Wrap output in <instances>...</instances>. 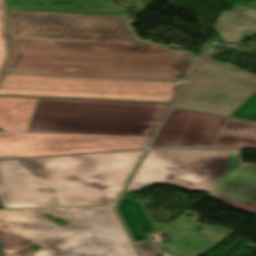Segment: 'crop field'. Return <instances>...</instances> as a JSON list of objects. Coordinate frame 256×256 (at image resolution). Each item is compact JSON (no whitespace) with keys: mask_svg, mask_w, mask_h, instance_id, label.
Listing matches in <instances>:
<instances>
[{"mask_svg":"<svg viewBox=\"0 0 256 256\" xmlns=\"http://www.w3.org/2000/svg\"><path fill=\"white\" fill-rule=\"evenodd\" d=\"M49 1V4H44ZM11 59L4 72L175 80L185 51L138 40L115 0H6Z\"/></svg>","mask_w":256,"mask_h":256,"instance_id":"8a807250","label":"crop field"},{"mask_svg":"<svg viewBox=\"0 0 256 256\" xmlns=\"http://www.w3.org/2000/svg\"><path fill=\"white\" fill-rule=\"evenodd\" d=\"M143 151L0 161L4 208L114 204Z\"/></svg>","mask_w":256,"mask_h":256,"instance_id":"ac0d7876","label":"crop field"},{"mask_svg":"<svg viewBox=\"0 0 256 256\" xmlns=\"http://www.w3.org/2000/svg\"><path fill=\"white\" fill-rule=\"evenodd\" d=\"M168 183L256 213V165L241 162V150L154 149L148 152L127 191Z\"/></svg>","mask_w":256,"mask_h":256,"instance_id":"34b2d1b8","label":"crop field"},{"mask_svg":"<svg viewBox=\"0 0 256 256\" xmlns=\"http://www.w3.org/2000/svg\"><path fill=\"white\" fill-rule=\"evenodd\" d=\"M169 104L40 98L27 131L153 137Z\"/></svg>","mask_w":256,"mask_h":256,"instance_id":"412701ff","label":"crop field"},{"mask_svg":"<svg viewBox=\"0 0 256 256\" xmlns=\"http://www.w3.org/2000/svg\"><path fill=\"white\" fill-rule=\"evenodd\" d=\"M113 207L68 208L65 213L43 209L72 220L74 226L64 231L22 210H12L23 219L11 225L54 251L44 256H139Z\"/></svg>","mask_w":256,"mask_h":256,"instance_id":"f4fd0767","label":"crop field"},{"mask_svg":"<svg viewBox=\"0 0 256 256\" xmlns=\"http://www.w3.org/2000/svg\"><path fill=\"white\" fill-rule=\"evenodd\" d=\"M181 85L175 81L4 73L0 94L172 102Z\"/></svg>","mask_w":256,"mask_h":256,"instance_id":"dd49c442","label":"crop field"},{"mask_svg":"<svg viewBox=\"0 0 256 256\" xmlns=\"http://www.w3.org/2000/svg\"><path fill=\"white\" fill-rule=\"evenodd\" d=\"M201 55L174 107L228 116L256 91V75Z\"/></svg>","mask_w":256,"mask_h":256,"instance_id":"e52e79f7","label":"crop field"},{"mask_svg":"<svg viewBox=\"0 0 256 256\" xmlns=\"http://www.w3.org/2000/svg\"><path fill=\"white\" fill-rule=\"evenodd\" d=\"M150 137L0 132V159L147 147Z\"/></svg>","mask_w":256,"mask_h":256,"instance_id":"d8731c3e","label":"crop field"},{"mask_svg":"<svg viewBox=\"0 0 256 256\" xmlns=\"http://www.w3.org/2000/svg\"><path fill=\"white\" fill-rule=\"evenodd\" d=\"M225 120L171 108L151 147L210 148Z\"/></svg>","mask_w":256,"mask_h":256,"instance_id":"5a996713","label":"crop field"},{"mask_svg":"<svg viewBox=\"0 0 256 256\" xmlns=\"http://www.w3.org/2000/svg\"><path fill=\"white\" fill-rule=\"evenodd\" d=\"M198 225L200 224L182 219L165 230L174 239L173 242L163 243L164 248L168 249L167 253L174 256H198L216 247L218 244L201 237L204 234L192 231Z\"/></svg>","mask_w":256,"mask_h":256,"instance_id":"3316defc","label":"crop field"},{"mask_svg":"<svg viewBox=\"0 0 256 256\" xmlns=\"http://www.w3.org/2000/svg\"><path fill=\"white\" fill-rule=\"evenodd\" d=\"M38 99L39 98L0 96L1 130L25 132L33 116Z\"/></svg>","mask_w":256,"mask_h":256,"instance_id":"28ad6ade","label":"crop field"},{"mask_svg":"<svg viewBox=\"0 0 256 256\" xmlns=\"http://www.w3.org/2000/svg\"><path fill=\"white\" fill-rule=\"evenodd\" d=\"M21 219L10 210H0V243L2 256H42L52 252L40 243L12 232L10 223ZM34 246L43 247L36 253H28Z\"/></svg>","mask_w":256,"mask_h":256,"instance_id":"d1516ede","label":"crop field"},{"mask_svg":"<svg viewBox=\"0 0 256 256\" xmlns=\"http://www.w3.org/2000/svg\"><path fill=\"white\" fill-rule=\"evenodd\" d=\"M211 148L256 149V122L227 118Z\"/></svg>","mask_w":256,"mask_h":256,"instance_id":"22f410ed","label":"crop field"},{"mask_svg":"<svg viewBox=\"0 0 256 256\" xmlns=\"http://www.w3.org/2000/svg\"><path fill=\"white\" fill-rule=\"evenodd\" d=\"M214 29L226 42H238L243 30L256 31V10L234 7V12H221Z\"/></svg>","mask_w":256,"mask_h":256,"instance_id":"cbeb9de0","label":"crop field"},{"mask_svg":"<svg viewBox=\"0 0 256 256\" xmlns=\"http://www.w3.org/2000/svg\"><path fill=\"white\" fill-rule=\"evenodd\" d=\"M117 210L135 241L144 238L141 230L148 233L156 232L140 202L123 196Z\"/></svg>","mask_w":256,"mask_h":256,"instance_id":"5142ce71","label":"crop field"},{"mask_svg":"<svg viewBox=\"0 0 256 256\" xmlns=\"http://www.w3.org/2000/svg\"><path fill=\"white\" fill-rule=\"evenodd\" d=\"M8 57L9 51L6 32L4 2L3 0H0V75L4 69Z\"/></svg>","mask_w":256,"mask_h":256,"instance_id":"d9b57169","label":"crop field"},{"mask_svg":"<svg viewBox=\"0 0 256 256\" xmlns=\"http://www.w3.org/2000/svg\"><path fill=\"white\" fill-rule=\"evenodd\" d=\"M229 116L256 121V92Z\"/></svg>","mask_w":256,"mask_h":256,"instance_id":"733c2abd","label":"crop field"},{"mask_svg":"<svg viewBox=\"0 0 256 256\" xmlns=\"http://www.w3.org/2000/svg\"><path fill=\"white\" fill-rule=\"evenodd\" d=\"M143 256H151L160 252L157 244L147 245L145 240L136 244Z\"/></svg>","mask_w":256,"mask_h":256,"instance_id":"4a817a6b","label":"crop field"},{"mask_svg":"<svg viewBox=\"0 0 256 256\" xmlns=\"http://www.w3.org/2000/svg\"><path fill=\"white\" fill-rule=\"evenodd\" d=\"M24 211H25L27 214H29L30 216H35V217H37V218H39V219H41V220H44V221H47V222L53 224V225H55V224L52 223L50 220H48V219H46V218H43V217H40V216H37V213L41 211V212H43V213H45V214H49V215L55 216V217H57V218L63 219V220H65V221H68V222L70 223V225L67 226V227L55 225V226L59 227V228L62 229V230H64V229H66V228H68V227H70V226L73 225L71 221H69V220H67V219H64V218H61V217H59V216H56V215H54V214H52V213L45 212V211H43V210H41V209H31V210H24Z\"/></svg>","mask_w":256,"mask_h":256,"instance_id":"bc2a9ffb","label":"crop field"},{"mask_svg":"<svg viewBox=\"0 0 256 256\" xmlns=\"http://www.w3.org/2000/svg\"><path fill=\"white\" fill-rule=\"evenodd\" d=\"M67 208H59V209H54V210H58V211H61V212H65Z\"/></svg>","mask_w":256,"mask_h":256,"instance_id":"214f88e0","label":"crop field"},{"mask_svg":"<svg viewBox=\"0 0 256 256\" xmlns=\"http://www.w3.org/2000/svg\"><path fill=\"white\" fill-rule=\"evenodd\" d=\"M59 206L57 203H53L51 207Z\"/></svg>","mask_w":256,"mask_h":256,"instance_id":"92a150f3","label":"crop field"},{"mask_svg":"<svg viewBox=\"0 0 256 256\" xmlns=\"http://www.w3.org/2000/svg\"><path fill=\"white\" fill-rule=\"evenodd\" d=\"M252 6L256 7V3L255 4H251Z\"/></svg>","mask_w":256,"mask_h":256,"instance_id":"dafd665d","label":"crop field"}]
</instances>
